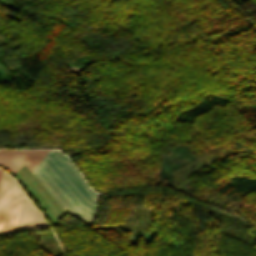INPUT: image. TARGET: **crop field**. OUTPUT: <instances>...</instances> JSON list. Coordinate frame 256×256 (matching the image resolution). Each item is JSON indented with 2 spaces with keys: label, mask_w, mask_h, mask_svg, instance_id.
I'll return each mask as SVG.
<instances>
[{
  "label": "crop field",
  "mask_w": 256,
  "mask_h": 256,
  "mask_svg": "<svg viewBox=\"0 0 256 256\" xmlns=\"http://www.w3.org/2000/svg\"><path fill=\"white\" fill-rule=\"evenodd\" d=\"M32 173L66 213L93 225L101 195L88 187L61 151L49 150Z\"/></svg>",
  "instance_id": "1"
},
{
  "label": "crop field",
  "mask_w": 256,
  "mask_h": 256,
  "mask_svg": "<svg viewBox=\"0 0 256 256\" xmlns=\"http://www.w3.org/2000/svg\"><path fill=\"white\" fill-rule=\"evenodd\" d=\"M23 195L24 192L17 183L2 171L0 176V234L15 232Z\"/></svg>",
  "instance_id": "2"
},
{
  "label": "crop field",
  "mask_w": 256,
  "mask_h": 256,
  "mask_svg": "<svg viewBox=\"0 0 256 256\" xmlns=\"http://www.w3.org/2000/svg\"><path fill=\"white\" fill-rule=\"evenodd\" d=\"M48 150H0V165L6 167L13 173L25 163L32 172Z\"/></svg>",
  "instance_id": "3"
},
{
  "label": "crop field",
  "mask_w": 256,
  "mask_h": 256,
  "mask_svg": "<svg viewBox=\"0 0 256 256\" xmlns=\"http://www.w3.org/2000/svg\"><path fill=\"white\" fill-rule=\"evenodd\" d=\"M45 226L47 223L25 194L16 232Z\"/></svg>",
  "instance_id": "4"
}]
</instances>
